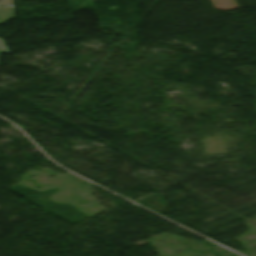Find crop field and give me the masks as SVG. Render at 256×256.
I'll use <instances>...</instances> for the list:
<instances>
[{
  "label": "crop field",
  "mask_w": 256,
  "mask_h": 256,
  "mask_svg": "<svg viewBox=\"0 0 256 256\" xmlns=\"http://www.w3.org/2000/svg\"><path fill=\"white\" fill-rule=\"evenodd\" d=\"M0 24L5 23L14 16V6L11 0H0Z\"/></svg>",
  "instance_id": "obj_1"
}]
</instances>
